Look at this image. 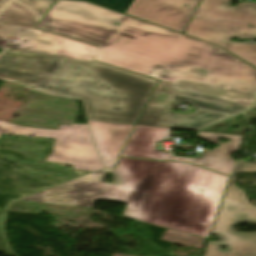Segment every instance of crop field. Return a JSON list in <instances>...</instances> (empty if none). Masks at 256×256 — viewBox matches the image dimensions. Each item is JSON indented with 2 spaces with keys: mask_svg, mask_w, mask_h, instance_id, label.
<instances>
[{
  "mask_svg": "<svg viewBox=\"0 0 256 256\" xmlns=\"http://www.w3.org/2000/svg\"><path fill=\"white\" fill-rule=\"evenodd\" d=\"M107 172L112 184L104 183ZM228 179L190 164L122 158L115 170L20 200L85 208L95 200L123 201L125 217L207 238Z\"/></svg>",
  "mask_w": 256,
  "mask_h": 256,
  "instance_id": "obj_1",
  "label": "crop field"
},
{
  "mask_svg": "<svg viewBox=\"0 0 256 256\" xmlns=\"http://www.w3.org/2000/svg\"><path fill=\"white\" fill-rule=\"evenodd\" d=\"M94 60L251 107L256 69L221 48L123 15Z\"/></svg>",
  "mask_w": 256,
  "mask_h": 256,
  "instance_id": "obj_2",
  "label": "crop field"
},
{
  "mask_svg": "<svg viewBox=\"0 0 256 256\" xmlns=\"http://www.w3.org/2000/svg\"><path fill=\"white\" fill-rule=\"evenodd\" d=\"M156 83L96 62L57 57L34 90L82 100L87 119L135 124Z\"/></svg>",
  "mask_w": 256,
  "mask_h": 256,
  "instance_id": "obj_3",
  "label": "crop field"
},
{
  "mask_svg": "<svg viewBox=\"0 0 256 256\" xmlns=\"http://www.w3.org/2000/svg\"><path fill=\"white\" fill-rule=\"evenodd\" d=\"M230 1L201 0L184 34L216 44L256 67V44L229 42L237 37L244 14L247 17L240 36L256 39V3L230 7Z\"/></svg>",
  "mask_w": 256,
  "mask_h": 256,
  "instance_id": "obj_4",
  "label": "crop field"
},
{
  "mask_svg": "<svg viewBox=\"0 0 256 256\" xmlns=\"http://www.w3.org/2000/svg\"><path fill=\"white\" fill-rule=\"evenodd\" d=\"M180 102L191 103L196 108L230 114L249 108L160 81L137 125L196 131L230 117L205 111L191 115L172 114L169 109Z\"/></svg>",
  "mask_w": 256,
  "mask_h": 256,
  "instance_id": "obj_5",
  "label": "crop field"
},
{
  "mask_svg": "<svg viewBox=\"0 0 256 256\" xmlns=\"http://www.w3.org/2000/svg\"><path fill=\"white\" fill-rule=\"evenodd\" d=\"M121 17L122 14L93 4L56 0L39 29L102 46Z\"/></svg>",
  "mask_w": 256,
  "mask_h": 256,
  "instance_id": "obj_6",
  "label": "crop field"
},
{
  "mask_svg": "<svg viewBox=\"0 0 256 256\" xmlns=\"http://www.w3.org/2000/svg\"><path fill=\"white\" fill-rule=\"evenodd\" d=\"M4 133L55 139L54 152L48 162L67 163L73 169L96 172L104 168L90 136L87 125H60L57 131L22 127Z\"/></svg>",
  "mask_w": 256,
  "mask_h": 256,
  "instance_id": "obj_7",
  "label": "crop field"
},
{
  "mask_svg": "<svg viewBox=\"0 0 256 256\" xmlns=\"http://www.w3.org/2000/svg\"><path fill=\"white\" fill-rule=\"evenodd\" d=\"M240 222L256 224V211L223 202L212 233L219 235L221 241H209L204 256H256V232L231 230L235 223ZM221 245H226L228 250H221Z\"/></svg>",
  "mask_w": 256,
  "mask_h": 256,
  "instance_id": "obj_8",
  "label": "crop field"
},
{
  "mask_svg": "<svg viewBox=\"0 0 256 256\" xmlns=\"http://www.w3.org/2000/svg\"><path fill=\"white\" fill-rule=\"evenodd\" d=\"M199 0H135L125 12L183 33ZM188 4V7H183Z\"/></svg>",
  "mask_w": 256,
  "mask_h": 256,
  "instance_id": "obj_9",
  "label": "crop field"
},
{
  "mask_svg": "<svg viewBox=\"0 0 256 256\" xmlns=\"http://www.w3.org/2000/svg\"><path fill=\"white\" fill-rule=\"evenodd\" d=\"M30 53L62 56L90 61L99 48L72 39L35 30L27 39L12 43Z\"/></svg>",
  "mask_w": 256,
  "mask_h": 256,
  "instance_id": "obj_10",
  "label": "crop field"
},
{
  "mask_svg": "<svg viewBox=\"0 0 256 256\" xmlns=\"http://www.w3.org/2000/svg\"><path fill=\"white\" fill-rule=\"evenodd\" d=\"M55 58L7 49L0 55V76L37 84Z\"/></svg>",
  "mask_w": 256,
  "mask_h": 256,
  "instance_id": "obj_11",
  "label": "crop field"
},
{
  "mask_svg": "<svg viewBox=\"0 0 256 256\" xmlns=\"http://www.w3.org/2000/svg\"><path fill=\"white\" fill-rule=\"evenodd\" d=\"M94 146L105 168H112L134 126L87 121Z\"/></svg>",
  "mask_w": 256,
  "mask_h": 256,
  "instance_id": "obj_12",
  "label": "crop field"
},
{
  "mask_svg": "<svg viewBox=\"0 0 256 256\" xmlns=\"http://www.w3.org/2000/svg\"><path fill=\"white\" fill-rule=\"evenodd\" d=\"M197 137L212 142L214 144H219L221 146L215 148L214 150L206 152L203 156V159L174 157L173 160L190 162L201 167L230 176L231 170L235 162L231 158V153L239 151L243 136L198 132ZM220 137L228 139L230 141L224 144H220L218 143V139Z\"/></svg>",
  "mask_w": 256,
  "mask_h": 256,
  "instance_id": "obj_13",
  "label": "crop field"
},
{
  "mask_svg": "<svg viewBox=\"0 0 256 256\" xmlns=\"http://www.w3.org/2000/svg\"><path fill=\"white\" fill-rule=\"evenodd\" d=\"M169 138V129L136 126L126 148L121 155L170 160L172 153L159 152L156 143Z\"/></svg>",
  "mask_w": 256,
  "mask_h": 256,
  "instance_id": "obj_14",
  "label": "crop field"
},
{
  "mask_svg": "<svg viewBox=\"0 0 256 256\" xmlns=\"http://www.w3.org/2000/svg\"><path fill=\"white\" fill-rule=\"evenodd\" d=\"M241 172L256 173V161L246 163L244 160H240L235 162L234 169L232 171L231 179L229 182V186L223 198V201L256 210V206H252L248 202L245 193L234 184L235 174L241 173Z\"/></svg>",
  "mask_w": 256,
  "mask_h": 256,
  "instance_id": "obj_15",
  "label": "crop field"
},
{
  "mask_svg": "<svg viewBox=\"0 0 256 256\" xmlns=\"http://www.w3.org/2000/svg\"><path fill=\"white\" fill-rule=\"evenodd\" d=\"M42 18L27 6L8 5L0 14V23L36 28Z\"/></svg>",
  "mask_w": 256,
  "mask_h": 256,
  "instance_id": "obj_16",
  "label": "crop field"
},
{
  "mask_svg": "<svg viewBox=\"0 0 256 256\" xmlns=\"http://www.w3.org/2000/svg\"><path fill=\"white\" fill-rule=\"evenodd\" d=\"M33 31L34 29L0 24V46L13 48L10 43L28 37Z\"/></svg>",
  "mask_w": 256,
  "mask_h": 256,
  "instance_id": "obj_17",
  "label": "crop field"
},
{
  "mask_svg": "<svg viewBox=\"0 0 256 256\" xmlns=\"http://www.w3.org/2000/svg\"><path fill=\"white\" fill-rule=\"evenodd\" d=\"M8 4L27 5L44 17L53 2L52 0H0V13Z\"/></svg>",
  "mask_w": 256,
  "mask_h": 256,
  "instance_id": "obj_18",
  "label": "crop field"
},
{
  "mask_svg": "<svg viewBox=\"0 0 256 256\" xmlns=\"http://www.w3.org/2000/svg\"><path fill=\"white\" fill-rule=\"evenodd\" d=\"M103 6L125 12L134 0H90Z\"/></svg>",
  "mask_w": 256,
  "mask_h": 256,
  "instance_id": "obj_19",
  "label": "crop field"
},
{
  "mask_svg": "<svg viewBox=\"0 0 256 256\" xmlns=\"http://www.w3.org/2000/svg\"><path fill=\"white\" fill-rule=\"evenodd\" d=\"M8 125H9V123L0 121V135L7 129Z\"/></svg>",
  "mask_w": 256,
  "mask_h": 256,
  "instance_id": "obj_20",
  "label": "crop field"
},
{
  "mask_svg": "<svg viewBox=\"0 0 256 256\" xmlns=\"http://www.w3.org/2000/svg\"><path fill=\"white\" fill-rule=\"evenodd\" d=\"M8 128H16V129H20V128H21V126H14V125L10 124Z\"/></svg>",
  "mask_w": 256,
  "mask_h": 256,
  "instance_id": "obj_21",
  "label": "crop field"
},
{
  "mask_svg": "<svg viewBox=\"0 0 256 256\" xmlns=\"http://www.w3.org/2000/svg\"><path fill=\"white\" fill-rule=\"evenodd\" d=\"M245 16H246V15H245ZM245 16H244V19H243V23H244V20H245ZM243 23H242V25H243ZM242 25H241V28H242ZM241 28H240V31H239V33H238V38H247V37H239L240 32H241Z\"/></svg>",
  "mask_w": 256,
  "mask_h": 256,
  "instance_id": "obj_22",
  "label": "crop field"
},
{
  "mask_svg": "<svg viewBox=\"0 0 256 256\" xmlns=\"http://www.w3.org/2000/svg\"><path fill=\"white\" fill-rule=\"evenodd\" d=\"M254 109H256V106H255V108Z\"/></svg>",
  "mask_w": 256,
  "mask_h": 256,
  "instance_id": "obj_23",
  "label": "crop field"
}]
</instances>
